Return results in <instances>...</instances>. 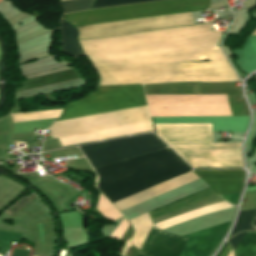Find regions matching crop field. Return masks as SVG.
Here are the masks:
<instances>
[{"mask_svg": "<svg viewBox=\"0 0 256 256\" xmlns=\"http://www.w3.org/2000/svg\"><path fill=\"white\" fill-rule=\"evenodd\" d=\"M209 24L79 40L102 76V85L181 81H230L238 77ZM213 60L203 63H176Z\"/></svg>", "mask_w": 256, "mask_h": 256, "instance_id": "8a807250", "label": "crop field"}, {"mask_svg": "<svg viewBox=\"0 0 256 256\" xmlns=\"http://www.w3.org/2000/svg\"><path fill=\"white\" fill-rule=\"evenodd\" d=\"M208 5H209V0H166V1H158V2H151V3H143V4H136V5L76 12V13L63 15L62 18H65L70 23H75V22H83V21H91V20H99V19L139 15V14H148V13L204 7ZM207 8L208 7L140 15V16L115 18V19H107V20H99V21H91V22H83V23H75L73 25L136 18V17H145V16H153V15H161V14H170V13H178V12H186V11H196V10H203ZM194 24L195 23L191 16V13L186 12V13H178V14H170V15H161V16H153V17H145V18L78 25L75 27L79 29V39H84V38H94V37H102V36L122 35L127 33L145 32L150 30L187 26V25H194Z\"/></svg>", "mask_w": 256, "mask_h": 256, "instance_id": "ac0d7876", "label": "crop field"}, {"mask_svg": "<svg viewBox=\"0 0 256 256\" xmlns=\"http://www.w3.org/2000/svg\"><path fill=\"white\" fill-rule=\"evenodd\" d=\"M189 170L167 148L95 168L98 189L112 203Z\"/></svg>", "mask_w": 256, "mask_h": 256, "instance_id": "34b2d1b8", "label": "crop field"}, {"mask_svg": "<svg viewBox=\"0 0 256 256\" xmlns=\"http://www.w3.org/2000/svg\"><path fill=\"white\" fill-rule=\"evenodd\" d=\"M157 136L192 167H243L241 143H212L211 124H155Z\"/></svg>", "mask_w": 256, "mask_h": 256, "instance_id": "412701ff", "label": "crop field"}, {"mask_svg": "<svg viewBox=\"0 0 256 256\" xmlns=\"http://www.w3.org/2000/svg\"><path fill=\"white\" fill-rule=\"evenodd\" d=\"M144 105L141 85L102 86L91 96L70 103L57 121Z\"/></svg>", "mask_w": 256, "mask_h": 256, "instance_id": "f4fd0767", "label": "crop field"}, {"mask_svg": "<svg viewBox=\"0 0 256 256\" xmlns=\"http://www.w3.org/2000/svg\"><path fill=\"white\" fill-rule=\"evenodd\" d=\"M79 147L93 168L165 148L152 134Z\"/></svg>", "mask_w": 256, "mask_h": 256, "instance_id": "dd49c442", "label": "crop field"}, {"mask_svg": "<svg viewBox=\"0 0 256 256\" xmlns=\"http://www.w3.org/2000/svg\"><path fill=\"white\" fill-rule=\"evenodd\" d=\"M186 240L185 237L165 233L153 226L141 252L147 256H178Z\"/></svg>", "mask_w": 256, "mask_h": 256, "instance_id": "e52e79f7", "label": "crop field"}, {"mask_svg": "<svg viewBox=\"0 0 256 256\" xmlns=\"http://www.w3.org/2000/svg\"><path fill=\"white\" fill-rule=\"evenodd\" d=\"M194 172L217 193L241 191L244 170H194Z\"/></svg>", "mask_w": 256, "mask_h": 256, "instance_id": "d8731c3e", "label": "crop field"}, {"mask_svg": "<svg viewBox=\"0 0 256 256\" xmlns=\"http://www.w3.org/2000/svg\"><path fill=\"white\" fill-rule=\"evenodd\" d=\"M149 131H152L150 122L131 125V126H125L120 128L66 136L58 139L61 145L65 146V145H71V144H77V143H83V142H89V141L149 132Z\"/></svg>", "mask_w": 256, "mask_h": 256, "instance_id": "5a996713", "label": "crop field"}, {"mask_svg": "<svg viewBox=\"0 0 256 256\" xmlns=\"http://www.w3.org/2000/svg\"><path fill=\"white\" fill-rule=\"evenodd\" d=\"M59 31L61 35V49L72 57L83 56L84 54L77 40V29L61 20Z\"/></svg>", "mask_w": 256, "mask_h": 256, "instance_id": "3316defc", "label": "crop field"}, {"mask_svg": "<svg viewBox=\"0 0 256 256\" xmlns=\"http://www.w3.org/2000/svg\"><path fill=\"white\" fill-rule=\"evenodd\" d=\"M229 207H232V206L228 205L224 201H221L217 204L204 206V207L195 209L193 211L171 217L169 219L163 220V221L155 224L154 226L163 230L164 228H166L168 226H171V225H174V224H177L179 222L186 221V220H189V219H192V218H196V217L205 215V214L210 213V212H214V211L224 209V208H229Z\"/></svg>", "mask_w": 256, "mask_h": 256, "instance_id": "28ad6ade", "label": "crop field"}, {"mask_svg": "<svg viewBox=\"0 0 256 256\" xmlns=\"http://www.w3.org/2000/svg\"><path fill=\"white\" fill-rule=\"evenodd\" d=\"M235 256H256V233L249 232L234 252Z\"/></svg>", "mask_w": 256, "mask_h": 256, "instance_id": "d1516ede", "label": "crop field"}, {"mask_svg": "<svg viewBox=\"0 0 256 256\" xmlns=\"http://www.w3.org/2000/svg\"><path fill=\"white\" fill-rule=\"evenodd\" d=\"M255 213L256 209H241L238 214L234 228L229 237H231L232 235L239 231L246 230L250 223L251 218L255 215Z\"/></svg>", "mask_w": 256, "mask_h": 256, "instance_id": "22f410ed", "label": "crop field"}, {"mask_svg": "<svg viewBox=\"0 0 256 256\" xmlns=\"http://www.w3.org/2000/svg\"><path fill=\"white\" fill-rule=\"evenodd\" d=\"M94 0H71L60 2L64 13L90 9Z\"/></svg>", "mask_w": 256, "mask_h": 256, "instance_id": "cbeb9de0", "label": "crop field"}, {"mask_svg": "<svg viewBox=\"0 0 256 256\" xmlns=\"http://www.w3.org/2000/svg\"><path fill=\"white\" fill-rule=\"evenodd\" d=\"M149 1H157V0H95L92 9L126 5V4H134V3H142V2H149Z\"/></svg>", "mask_w": 256, "mask_h": 256, "instance_id": "5142ce71", "label": "crop field"}, {"mask_svg": "<svg viewBox=\"0 0 256 256\" xmlns=\"http://www.w3.org/2000/svg\"><path fill=\"white\" fill-rule=\"evenodd\" d=\"M247 233L248 232H241V233L235 235L234 237H232L231 239L227 240L230 243L233 251L235 250V248L239 244V242L246 236Z\"/></svg>", "mask_w": 256, "mask_h": 256, "instance_id": "d9b57169", "label": "crop field"}, {"mask_svg": "<svg viewBox=\"0 0 256 256\" xmlns=\"http://www.w3.org/2000/svg\"><path fill=\"white\" fill-rule=\"evenodd\" d=\"M240 193H228V194H218L221 197H223L225 200H227L231 204H237L238 197ZM222 198V199H223Z\"/></svg>", "mask_w": 256, "mask_h": 256, "instance_id": "733c2abd", "label": "crop field"}, {"mask_svg": "<svg viewBox=\"0 0 256 256\" xmlns=\"http://www.w3.org/2000/svg\"><path fill=\"white\" fill-rule=\"evenodd\" d=\"M256 228V217L252 220L248 230H253Z\"/></svg>", "mask_w": 256, "mask_h": 256, "instance_id": "4a817a6b", "label": "crop field"}, {"mask_svg": "<svg viewBox=\"0 0 256 256\" xmlns=\"http://www.w3.org/2000/svg\"><path fill=\"white\" fill-rule=\"evenodd\" d=\"M230 246L227 244L225 250L222 252V254L220 256H227V254L229 253L230 251Z\"/></svg>", "mask_w": 256, "mask_h": 256, "instance_id": "bc2a9ffb", "label": "crop field"}, {"mask_svg": "<svg viewBox=\"0 0 256 256\" xmlns=\"http://www.w3.org/2000/svg\"><path fill=\"white\" fill-rule=\"evenodd\" d=\"M226 244H227V243L225 242L223 248L226 246ZM223 248L218 252V254H217L216 256H219V254L221 253V251L223 250Z\"/></svg>", "mask_w": 256, "mask_h": 256, "instance_id": "214f88e0", "label": "crop field"}, {"mask_svg": "<svg viewBox=\"0 0 256 256\" xmlns=\"http://www.w3.org/2000/svg\"><path fill=\"white\" fill-rule=\"evenodd\" d=\"M137 256H145V255L142 254L141 252H138Z\"/></svg>", "mask_w": 256, "mask_h": 256, "instance_id": "92a150f3", "label": "crop field"}, {"mask_svg": "<svg viewBox=\"0 0 256 256\" xmlns=\"http://www.w3.org/2000/svg\"><path fill=\"white\" fill-rule=\"evenodd\" d=\"M228 256H233V255H232V251H230V253H229V255H228Z\"/></svg>", "mask_w": 256, "mask_h": 256, "instance_id": "dafd665d", "label": "crop field"}, {"mask_svg": "<svg viewBox=\"0 0 256 256\" xmlns=\"http://www.w3.org/2000/svg\"><path fill=\"white\" fill-rule=\"evenodd\" d=\"M256 34V30L253 32V34L252 35H255Z\"/></svg>", "mask_w": 256, "mask_h": 256, "instance_id": "00972430", "label": "crop field"}, {"mask_svg": "<svg viewBox=\"0 0 256 256\" xmlns=\"http://www.w3.org/2000/svg\"><path fill=\"white\" fill-rule=\"evenodd\" d=\"M61 1H63V0H61Z\"/></svg>", "mask_w": 256, "mask_h": 256, "instance_id": "a9b5d70f", "label": "crop field"}]
</instances>
